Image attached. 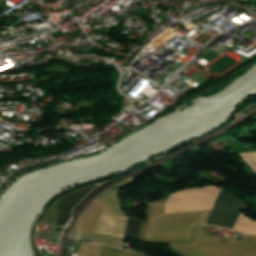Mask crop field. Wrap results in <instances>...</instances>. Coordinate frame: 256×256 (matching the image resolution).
Listing matches in <instances>:
<instances>
[{"label":"crop field","mask_w":256,"mask_h":256,"mask_svg":"<svg viewBox=\"0 0 256 256\" xmlns=\"http://www.w3.org/2000/svg\"><path fill=\"white\" fill-rule=\"evenodd\" d=\"M102 256H135V255L104 247Z\"/></svg>","instance_id":"crop-field-5"},{"label":"crop field","mask_w":256,"mask_h":256,"mask_svg":"<svg viewBox=\"0 0 256 256\" xmlns=\"http://www.w3.org/2000/svg\"><path fill=\"white\" fill-rule=\"evenodd\" d=\"M244 205L236 196L222 190L206 224L233 229Z\"/></svg>","instance_id":"crop-field-1"},{"label":"crop field","mask_w":256,"mask_h":256,"mask_svg":"<svg viewBox=\"0 0 256 256\" xmlns=\"http://www.w3.org/2000/svg\"><path fill=\"white\" fill-rule=\"evenodd\" d=\"M121 179V178H119ZM119 179H116V180H112V181H109L101 186H99L98 188L94 189L93 191H91L87 197L73 210V216L74 214L78 211V209L83 205L85 204L92 196H94L96 193H98L101 189L105 188L106 186L110 185L111 183L119 180Z\"/></svg>","instance_id":"crop-field-4"},{"label":"crop field","mask_w":256,"mask_h":256,"mask_svg":"<svg viewBox=\"0 0 256 256\" xmlns=\"http://www.w3.org/2000/svg\"><path fill=\"white\" fill-rule=\"evenodd\" d=\"M141 223V220L128 219L124 237L135 235L140 238L139 230Z\"/></svg>","instance_id":"crop-field-3"},{"label":"crop field","mask_w":256,"mask_h":256,"mask_svg":"<svg viewBox=\"0 0 256 256\" xmlns=\"http://www.w3.org/2000/svg\"><path fill=\"white\" fill-rule=\"evenodd\" d=\"M94 188V186L86 188L60 200L58 204V225H66L71 216V209Z\"/></svg>","instance_id":"crop-field-2"}]
</instances>
